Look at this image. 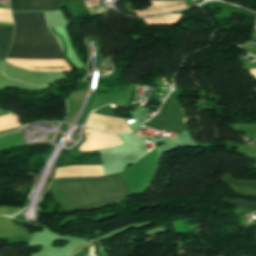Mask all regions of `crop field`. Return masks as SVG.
Wrapping results in <instances>:
<instances>
[{"instance_id": "crop-field-1", "label": "crop field", "mask_w": 256, "mask_h": 256, "mask_svg": "<svg viewBox=\"0 0 256 256\" xmlns=\"http://www.w3.org/2000/svg\"><path fill=\"white\" fill-rule=\"evenodd\" d=\"M86 179L103 206L122 201L131 194L120 173ZM86 179L63 178L55 180L73 210L102 207L92 193Z\"/></svg>"}, {"instance_id": "crop-field-2", "label": "crop field", "mask_w": 256, "mask_h": 256, "mask_svg": "<svg viewBox=\"0 0 256 256\" xmlns=\"http://www.w3.org/2000/svg\"><path fill=\"white\" fill-rule=\"evenodd\" d=\"M16 35L7 58H63L43 13H12Z\"/></svg>"}, {"instance_id": "crop-field-3", "label": "crop field", "mask_w": 256, "mask_h": 256, "mask_svg": "<svg viewBox=\"0 0 256 256\" xmlns=\"http://www.w3.org/2000/svg\"><path fill=\"white\" fill-rule=\"evenodd\" d=\"M62 0H11V9L15 11H53Z\"/></svg>"}, {"instance_id": "crop-field-4", "label": "crop field", "mask_w": 256, "mask_h": 256, "mask_svg": "<svg viewBox=\"0 0 256 256\" xmlns=\"http://www.w3.org/2000/svg\"><path fill=\"white\" fill-rule=\"evenodd\" d=\"M14 27L0 26V60H4L12 41Z\"/></svg>"}, {"instance_id": "crop-field-5", "label": "crop field", "mask_w": 256, "mask_h": 256, "mask_svg": "<svg viewBox=\"0 0 256 256\" xmlns=\"http://www.w3.org/2000/svg\"><path fill=\"white\" fill-rule=\"evenodd\" d=\"M224 202L231 204L238 208H244V209H253L256 210V203L246 202V201H239V200H233V199H227L224 198Z\"/></svg>"}, {"instance_id": "crop-field-6", "label": "crop field", "mask_w": 256, "mask_h": 256, "mask_svg": "<svg viewBox=\"0 0 256 256\" xmlns=\"http://www.w3.org/2000/svg\"><path fill=\"white\" fill-rule=\"evenodd\" d=\"M224 182H226L228 184L236 185V186L247 187V188H255L256 189V182L237 181V180H233L229 177L224 179Z\"/></svg>"}, {"instance_id": "crop-field-7", "label": "crop field", "mask_w": 256, "mask_h": 256, "mask_svg": "<svg viewBox=\"0 0 256 256\" xmlns=\"http://www.w3.org/2000/svg\"><path fill=\"white\" fill-rule=\"evenodd\" d=\"M6 241L7 239H0V247H2Z\"/></svg>"}]
</instances>
